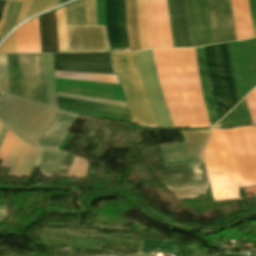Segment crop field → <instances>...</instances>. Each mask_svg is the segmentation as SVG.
Wrapping results in <instances>:
<instances>
[{
    "label": "crop field",
    "instance_id": "d32e631a",
    "mask_svg": "<svg viewBox=\"0 0 256 256\" xmlns=\"http://www.w3.org/2000/svg\"><path fill=\"white\" fill-rule=\"evenodd\" d=\"M0 53H16L14 32L0 45Z\"/></svg>",
    "mask_w": 256,
    "mask_h": 256
},
{
    "label": "crop field",
    "instance_id": "8a807250",
    "mask_svg": "<svg viewBox=\"0 0 256 256\" xmlns=\"http://www.w3.org/2000/svg\"><path fill=\"white\" fill-rule=\"evenodd\" d=\"M243 187L256 185V135L253 126L224 130ZM221 129H212L203 155L214 201L241 198L237 169Z\"/></svg>",
    "mask_w": 256,
    "mask_h": 256
},
{
    "label": "crop field",
    "instance_id": "73cf0c24",
    "mask_svg": "<svg viewBox=\"0 0 256 256\" xmlns=\"http://www.w3.org/2000/svg\"><path fill=\"white\" fill-rule=\"evenodd\" d=\"M1 94V93H0Z\"/></svg>",
    "mask_w": 256,
    "mask_h": 256
},
{
    "label": "crop field",
    "instance_id": "f4fd0767",
    "mask_svg": "<svg viewBox=\"0 0 256 256\" xmlns=\"http://www.w3.org/2000/svg\"><path fill=\"white\" fill-rule=\"evenodd\" d=\"M10 93L46 105L42 54L7 55ZM6 55H0V90L9 93Z\"/></svg>",
    "mask_w": 256,
    "mask_h": 256
},
{
    "label": "crop field",
    "instance_id": "92a150f3",
    "mask_svg": "<svg viewBox=\"0 0 256 256\" xmlns=\"http://www.w3.org/2000/svg\"><path fill=\"white\" fill-rule=\"evenodd\" d=\"M65 153L46 150L39 165L41 173L45 176H56Z\"/></svg>",
    "mask_w": 256,
    "mask_h": 256
},
{
    "label": "crop field",
    "instance_id": "b80d0937",
    "mask_svg": "<svg viewBox=\"0 0 256 256\" xmlns=\"http://www.w3.org/2000/svg\"><path fill=\"white\" fill-rule=\"evenodd\" d=\"M8 129L5 128L4 126H2L1 130H0V145L2 144L5 136H6V133H7Z\"/></svg>",
    "mask_w": 256,
    "mask_h": 256
},
{
    "label": "crop field",
    "instance_id": "dafd665d",
    "mask_svg": "<svg viewBox=\"0 0 256 256\" xmlns=\"http://www.w3.org/2000/svg\"><path fill=\"white\" fill-rule=\"evenodd\" d=\"M244 124L252 125L245 100H243L233 111H231L220 122V125L223 127H234V126L244 125Z\"/></svg>",
    "mask_w": 256,
    "mask_h": 256
},
{
    "label": "crop field",
    "instance_id": "412701ff",
    "mask_svg": "<svg viewBox=\"0 0 256 256\" xmlns=\"http://www.w3.org/2000/svg\"><path fill=\"white\" fill-rule=\"evenodd\" d=\"M173 48L214 44L207 0H167Z\"/></svg>",
    "mask_w": 256,
    "mask_h": 256
},
{
    "label": "crop field",
    "instance_id": "750c4746",
    "mask_svg": "<svg viewBox=\"0 0 256 256\" xmlns=\"http://www.w3.org/2000/svg\"><path fill=\"white\" fill-rule=\"evenodd\" d=\"M18 138H16L10 131H8L7 136L0 147V159H2L0 167H4L5 162Z\"/></svg>",
    "mask_w": 256,
    "mask_h": 256
},
{
    "label": "crop field",
    "instance_id": "28ad6ade",
    "mask_svg": "<svg viewBox=\"0 0 256 256\" xmlns=\"http://www.w3.org/2000/svg\"><path fill=\"white\" fill-rule=\"evenodd\" d=\"M139 1V25L143 49L151 48L149 26V0ZM138 25V2L126 0V26L130 51L142 49Z\"/></svg>",
    "mask_w": 256,
    "mask_h": 256
},
{
    "label": "crop field",
    "instance_id": "d23c7cc5",
    "mask_svg": "<svg viewBox=\"0 0 256 256\" xmlns=\"http://www.w3.org/2000/svg\"><path fill=\"white\" fill-rule=\"evenodd\" d=\"M2 124L0 123V128H1Z\"/></svg>",
    "mask_w": 256,
    "mask_h": 256
},
{
    "label": "crop field",
    "instance_id": "e52e79f7",
    "mask_svg": "<svg viewBox=\"0 0 256 256\" xmlns=\"http://www.w3.org/2000/svg\"><path fill=\"white\" fill-rule=\"evenodd\" d=\"M111 55L128 105L131 122L156 127L140 84L133 52L111 53Z\"/></svg>",
    "mask_w": 256,
    "mask_h": 256
},
{
    "label": "crop field",
    "instance_id": "ac0d7876",
    "mask_svg": "<svg viewBox=\"0 0 256 256\" xmlns=\"http://www.w3.org/2000/svg\"><path fill=\"white\" fill-rule=\"evenodd\" d=\"M152 52L159 85L175 127L210 126L194 49Z\"/></svg>",
    "mask_w": 256,
    "mask_h": 256
},
{
    "label": "crop field",
    "instance_id": "d8731c3e",
    "mask_svg": "<svg viewBox=\"0 0 256 256\" xmlns=\"http://www.w3.org/2000/svg\"><path fill=\"white\" fill-rule=\"evenodd\" d=\"M142 87L147 95L157 127H174L166 109L157 77L151 50L134 52ZM145 95V96H146Z\"/></svg>",
    "mask_w": 256,
    "mask_h": 256
},
{
    "label": "crop field",
    "instance_id": "425ffa30",
    "mask_svg": "<svg viewBox=\"0 0 256 256\" xmlns=\"http://www.w3.org/2000/svg\"><path fill=\"white\" fill-rule=\"evenodd\" d=\"M18 1H22V0H18Z\"/></svg>",
    "mask_w": 256,
    "mask_h": 256
},
{
    "label": "crop field",
    "instance_id": "c035e120",
    "mask_svg": "<svg viewBox=\"0 0 256 256\" xmlns=\"http://www.w3.org/2000/svg\"><path fill=\"white\" fill-rule=\"evenodd\" d=\"M44 151H45V150H43V149L41 150V152H40V154H39V156H38V159H37V161H36V163H35L36 166L39 165L40 160H41V158H42V156H43Z\"/></svg>",
    "mask_w": 256,
    "mask_h": 256
},
{
    "label": "crop field",
    "instance_id": "120bbe31",
    "mask_svg": "<svg viewBox=\"0 0 256 256\" xmlns=\"http://www.w3.org/2000/svg\"><path fill=\"white\" fill-rule=\"evenodd\" d=\"M245 100L250 111L252 123L253 125H256V88L251 90Z\"/></svg>",
    "mask_w": 256,
    "mask_h": 256
},
{
    "label": "crop field",
    "instance_id": "028f5c9d",
    "mask_svg": "<svg viewBox=\"0 0 256 256\" xmlns=\"http://www.w3.org/2000/svg\"><path fill=\"white\" fill-rule=\"evenodd\" d=\"M40 150H41V149H38V148L35 149V151H34L32 157H31V159H30V161H29V164H28V166H27V169H26V171H25L23 177H28V176H29V174H30V172H31V170H32V168H33V164H34V162H35V160H36V158H37V156H38Z\"/></svg>",
    "mask_w": 256,
    "mask_h": 256
},
{
    "label": "crop field",
    "instance_id": "d3111659",
    "mask_svg": "<svg viewBox=\"0 0 256 256\" xmlns=\"http://www.w3.org/2000/svg\"><path fill=\"white\" fill-rule=\"evenodd\" d=\"M58 1L59 0H31L25 19L56 6Z\"/></svg>",
    "mask_w": 256,
    "mask_h": 256
},
{
    "label": "crop field",
    "instance_id": "1d83c4d3",
    "mask_svg": "<svg viewBox=\"0 0 256 256\" xmlns=\"http://www.w3.org/2000/svg\"><path fill=\"white\" fill-rule=\"evenodd\" d=\"M86 25H96L95 0H84Z\"/></svg>",
    "mask_w": 256,
    "mask_h": 256
},
{
    "label": "crop field",
    "instance_id": "3316defc",
    "mask_svg": "<svg viewBox=\"0 0 256 256\" xmlns=\"http://www.w3.org/2000/svg\"><path fill=\"white\" fill-rule=\"evenodd\" d=\"M55 71L116 75L109 53L53 54Z\"/></svg>",
    "mask_w": 256,
    "mask_h": 256
},
{
    "label": "crop field",
    "instance_id": "214f88e0",
    "mask_svg": "<svg viewBox=\"0 0 256 256\" xmlns=\"http://www.w3.org/2000/svg\"><path fill=\"white\" fill-rule=\"evenodd\" d=\"M34 148L21 142L15 158L6 174L7 177H21Z\"/></svg>",
    "mask_w": 256,
    "mask_h": 256
},
{
    "label": "crop field",
    "instance_id": "eef30255",
    "mask_svg": "<svg viewBox=\"0 0 256 256\" xmlns=\"http://www.w3.org/2000/svg\"><path fill=\"white\" fill-rule=\"evenodd\" d=\"M59 52H68L64 6L55 10Z\"/></svg>",
    "mask_w": 256,
    "mask_h": 256
},
{
    "label": "crop field",
    "instance_id": "dd49c442",
    "mask_svg": "<svg viewBox=\"0 0 256 256\" xmlns=\"http://www.w3.org/2000/svg\"><path fill=\"white\" fill-rule=\"evenodd\" d=\"M209 81L219 120L238 102L227 43L206 46Z\"/></svg>",
    "mask_w": 256,
    "mask_h": 256
},
{
    "label": "crop field",
    "instance_id": "c21b1889",
    "mask_svg": "<svg viewBox=\"0 0 256 256\" xmlns=\"http://www.w3.org/2000/svg\"><path fill=\"white\" fill-rule=\"evenodd\" d=\"M5 2H6V1H0V16H1V14H2V11H3V8H4Z\"/></svg>",
    "mask_w": 256,
    "mask_h": 256
},
{
    "label": "crop field",
    "instance_id": "bd1437ed",
    "mask_svg": "<svg viewBox=\"0 0 256 256\" xmlns=\"http://www.w3.org/2000/svg\"><path fill=\"white\" fill-rule=\"evenodd\" d=\"M57 95L126 108V104L123 103V102L104 100V99H98V98H91V97H85V96H79V95H72V94H66V93H60V92H57Z\"/></svg>",
    "mask_w": 256,
    "mask_h": 256
},
{
    "label": "crop field",
    "instance_id": "34b2d1b8",
    "mask_svg": "<svg viewBox=\"0 0 256 256\" xmlns=\"http://www.w3.org/2000/svg\"><path fill=\"white\" fill-rule=\"evenodd\" d=\"M28 104L29 101L2 94L0 120L12 130ZM55 112L56 109L30 102L12 131L23 140L35 145ZM76 118L77 116L58 110L36 146L58 149L68 133L67 129Z\"/></svg>",
    "mask_w": 256,
    "mask_h": 256
},
{
    "label": "crop field",
    "instance_id": "a9b5d70f",
    "mask_svg": "<svg viewBox=\"0 0 256 256\" xmlns=\"http://www.w3.org/2000/svg\"><path fill=\"white\" fill-rule=\"evenodd\" d=\"M55 78L119 84L116 76L55 72Z\"/></svg>",
    "mask_w": 256,
    "mask_h": 256
},
{
    "label": "crop field",
    "instance_id": "5866460e",
    "mask_svg": "<svg viewBox=\"0 0 256 256\" xmlns=\"http://www.w3.org/2000/svg\"><path fill=\"white\" fill-rule=\"evenodd\" d=\"M72 158H73V155L68 154V153L66 154L57 176H64L65 175Z\"/></svg>",
    "mask_w": 256,
    "mask_h": 256
},
{
    "label": "crop field",
    "instance_id": "25e5ab78",
    "mask_svg": "<svg viewBox=\"0 0 256 256\" xmlns=\"http://www.w3.org/2000/svg\"><path fill=\"white\" fill-rule=\"evenodd\" d=\"M255 131H256V127H255Z\"/></svg>",
    "mask_w": 256,
    "mask_h": 256
},
{
    "label": "crop field",
    "instance_id": "5a996713",
    "mask_svg": "<svg viewBox=\"0 0 256 256\" xmlns=\"http://www.w3.org/2000/svg\"><path fill=\"white\" fill-rule=\"evenodd\" d=\"M183 143L160 145L164 166L202 162L200 153L209 136V129L182 131Z\"/></svg>",
    "mask_w": 256,
    "mask_h": 256
},
{
    "label": "crop field",
    "instance_id": "ae1a2a85",
    "mask_svg": "<svg viewBox=\"0 0 256 256\" xmlns=\"http://www.w3.org/2000/svg\"><path fill=\"white\" fill-rule=\"evenodd\" d=\"M57 101L129 116L128 111L125 108H119V107L97 104V103L59 97V96H57Z\"/></svg>",
    "mask_w": 256,
    "mask_h": 256
},
{
    "label": "crop field",
    "instance_id": "0bd39190",
    "mask_svg": "<svg viewBox=\"0 0 256 256\" xmlns=\"http://www.w3.org/2000/svg\"><path fill=\"white\" fill-rule=\"evenodd\" d=\"M20 142H21V140L18 139V141L16 142V144H15V146H14V148H13V150H12V152H11V154H10L8 160H7V163H6V165H5L6 168H9V166H10V164H11V161H12V159H13V156H14V154H15V152H16V150H17L19 144H20Z\"/></svg>",
    "mask_w": 256,
    "mask_h": 256
},
{
    "label": "crop field",
    "instance_id": "733c2abd",
    "mask_svg": "<svg viewBox=\"0 0 256 256\" xmlns=\"http://www.w3.org/2000/svg\"><path fill=\"white\" fill-rule=\"evenodd\" d=\"M237 40L253 37L248 0H231Z\"/></svg>",
    "mask_w": 256,
    "mask_h": 256
},
{
    "label": "crop field",
    "instance_id": "bc2a9ffb",
    "mask_svg": "<svg viewBox=\"0 0 256 256\" xmlns=\"http://www.w3.org/2000/svg\"><path fill=\"white\" fill-rule=\"evenodd\" d=\"M195 51H196L200 81L203 89L205 106H206V110L209 116L211 126H213L214 124L217 123L218 119H217L216 110H215L211 89L208 81L204 50H203V47H201V48L195 49Z\"/></svg>",
    "mask_w": 256,
    "mask_h": 256
},
{
    "label": "crop field",
    "instance_id": "d1516ede",
    "mask_svg": "<svg viewBox=\"0 0 256 256\" xmlns=\"http://www.w3.org/2000/svg\"><path fill=\"white\" fill-rule=\"evenodd\" d=\"M67 31L69 52L110 51L105 26L67 25Z\"/></svg>",
    "mask_w": 256,
    "mask_h": 256
},
{
    "label": "crop field",
    "instance_id": "730fd06b",
    "mask_svg": "<svg viewBox=\"0 0 256 256\" xmlns=\"http://www.w3.org/2000/svg\"><path fill=\"white\" fill-rule=\"evenodd\" d=\"M20 3L7 1L0 22V40L13 26Z\"/></svg>",
    "mask_w": 256,
    "mask_h": 256
},
{
    "label": "crop field",
    "instance_id": "22f410ed",
    "mask_svg": "<svg viewBox=\"0 0 256 256\" xmlns=\"http://www.w3.org/2000/svg\"><path fill=\"white\" fill-rule=\"evenodd\" d=\"M108 41L111 51H129L125 26V0H104Z\"/></svg>",
    "mask_w": 256,
    "mask_h": 256
},
{
    "label": "crop field",
    "instance_id": "00972430",
    "mask_svg": "<svg viewBox=\"0 0 256 256\" xmlns=\"http://www.w3.org/2000/svg\"><path fill=\"white\" fill-rule=\"evenodd\" d=\"M47 105L56 108L51 54H43Z\"/></svg>",
    "mask_w": 256,
    "mask_h": 256
},
{
    "label": "crop field",
    "instance_id": "cbeb9de0",
    "mask_svg": "<svg viewBox=\"0 0 256 256\" xmlns=\"http://www.w3.org/2000/svg\"><path fill=\"white\" fill-rule=\"evenodd\" d=\"M215 44L236 40L230 0H208Z\"/></svg>",
    "mask_w": 256,
    "mask_h": 256
},
{
    "label": "crop field",
    "instance_id": "d9b57169",
    "mask_svg": "<svg viewBox=\"0 0 256 256\" xmlns=\"http://www.w3.org/2000/svg\"><path fill=\"white\" fill-rule=\"evenodd\" d=\"M152 48H172L166 0H150Z\"/></svg>",
    "mask_w": 256,
    "mask_h": 256
},
{
    "label": "crop field",
    "instance_id": "03da06ac",
    "mask_svg": "<svg viewBox=\"0 0 256 256\" xmlns=\"http://www.w3.org/2000/svg\"><path fill=\"white\" fill-rule=\"evenodd\" d=\"M4 215V207H0V216Z\"/></svg>",
    "mask_w": 256,
    "mask_h": 256
},
{
    "label": "crop field",
    "instance_id": "5d738f31",
    "mask_svg": "<svg viewBox=\"0 0 256 256\" xmlns=\"http://www.w3.org/2000/svg\"><path fill=\"white\" fill-rule=\"evenodd\" d=\"M134 256H142V255H134Z\"/></svg>",
    "mask_w": 256,
    "mask_h": 256
},
{
    "label": "crop field",
    "instance_id": "e1f06a70",
    "mask_svg": "<svg viewBox=\"0 0 256 256\" xmlns=\"http://www.w3.org/2000/svg\"><path fill=\"white\" fill-rule=\"evenodd\" d=\"M29 2H30V0H23V3H22V6H21V9H20V12H19V16H18L16 25H17L19 22L23 21L24 16H25V13H26L27 8H28V5H29ZM16 25H15V26H16Z\"/></svg>",
    "mask_w": 256,
    "mask_h": 256
},
{
    "label": "crop field",
    "instance_id": "4177f3b9",
    "mask_svg": "<svg viewBox=\"0 0 256 256\" xmlns=\"http://www.w3.org/2000/svg\"><path fill=\"white\" fill-rule=\"evenodd\" d=\"M165 187L171 190L175 197L201 195L207 187V181Z\"/></svg>",
    "mask_w": 256,
    "mask_h": 256
},
{
    "label": "crop field",
    "instance_id": "5142ce71",
    "mask_svg": "<svg viewBox=\"0 0 256 256\" xmlns=\"http://www.w3.org/2000/svg\"><path fill=\"white\" fill-rule=\"evenodd\" d=\"M163 185L189 183L207 180L203 163L184 164L168 167L151 166Z\"/></svg>",
    "mask_w": 256,
    "mask_h": 256
},
{
    "label": "crop field",
    "instance_id": "b54c1fbb",
    "mask_svg": "<svg viewBox=\"0 0 256 256\" xmlns=\"http://www.w3.org/2000/svg\"><path fill=\"white\" fill-rule=\"evenodd\" d=\"M66 1H69V0H60V1H59V4L64 3V2H66ZM59 4H58V5H59Z\"/></svg>",
    "mask_w": 256,
    "mask_h": 256
},
{
    "label": "crop field",
    "instance_id": "4a817a6b",
    "mask_svg": "<svg viewBox=\"0 0 256 256\" xmlns=\"http://www.w3.org/2000/svg\"><path fill=\"white\" fill-rule=\"evenodd\" d=\"M41 52H58L54 11L38 17Z\"/></svg>",
    "mask_w": 256,
    "mask_h": 256
}]
</instances>
